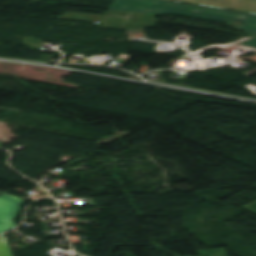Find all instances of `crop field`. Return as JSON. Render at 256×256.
I'll list each match as a JSON object with an SVG mask.
<instances>
[{"label": "crop field", "mask_w": 256, "mask_h": 256, "mask_svg": "<svg viewBox=\"0 0 256 256\" xmlns=\"http://www.w3.org/2000/svg\"><path fill=\"white\" fill-rule=\"evenodd\" d=\"M22 202L16 197L0 193V233L15 227L13 219L18 211V205Z\"/></svg>", "instance_id": "ac0d7876"}, {"label": "crop field", "mask_w": 256, "mask_h": 256, "mask_svg": "<svg viewBox=\"0 0 256 256\" xmlns=\"http://www.w3.org/2000/svg\"><path fill=\"white\" fill-rule=\"evenodd\" d=\"M155 16L151 14L129 13L124 28L145 30L146 28L138 26L154 27L157 21Z\"/></svg>", "instance_id": "34b2d1b8"}, {"label": "crop field", "mask_w": 256, "mask_h": 256, "mask_svg": "<svg viewBox=\"0 0 256 256\" xmlns=\"http://www.w3.org/2000/svg\"><path fill=\"white\" fill-rule=\"evenodd\" d=\"M3 146V144H0V147H2Z\"/></svg>", "instance_id": "dd49c442"}, {"label": "crop field", "mask_w": 256, "mask_h": 256, "mask_svg": "<svg viewBox=\"0 0 256 256\" xmlns=\"http://www.w3.org/2000/svg\"><path fill=\"white\" fill-rule=\"evenodd\" d=\"M0 256H12L5 234L0 236Z\"/></svg>", "instance_id": "412701ff"}, {"label": "crop field", "mask_w": 256, "mask_h": 256, "mask_svg": "<svg viewBox=\"0 0 256 256\" xmlns=\"http://www.w3.org/2000/svg\"><path fill=\"white\" fill-rule=\"evenodd\" d=\"M108 9L152 14L172 13L225 22L241 20L245 21V23L236 28L256 33V15L250 14L198 7L163 0H114Z\"/></svg>", "instance_id": "8a807250"}, {"label": "crop field", "mask_w": 256, "mask_h": 256, "mask_svg": "<svg viewBox=\"0 0 256 256\" xmlns=\"http://www.w3.org/2000/svg\"><path fill=\"white\" fill-rule=\"evenodd\" d=\"M239 45L256 49V38L251 39V40H248V41H245V42H243V43H241V44H239Z\"/></svg>", "instance_id": "f4fd0767"}]
</instances>
